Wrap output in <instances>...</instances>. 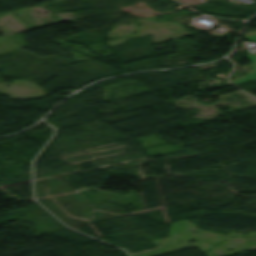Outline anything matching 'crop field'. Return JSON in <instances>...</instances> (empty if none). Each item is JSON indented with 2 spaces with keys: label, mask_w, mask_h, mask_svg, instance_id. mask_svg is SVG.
<instances>
[{
  "label": "crop field",
  "mask_w": 256,
  "mask_h": 256,
  "mask_svg": "<svg viewBox=\"0 0 256 256\" xmlns=\"http://www.w3.org/2000/svg\"><path fill=\"white\" fill-rule=\"evenodd\" d=\"M246 57L253 62L251 64L253 70L248 71L247 72L248 76H246V77H242V78L232 80V82L234 84L244 82V81H248V80H252V79H256V53L248 54V55H246Z\"/></svg>",
  "instance_id": "8a807250"
},
{
  "label": "crop field",
  "mask_w": 256,
  "mask_h": 256,
  "mask_svg": "<svg viewBox=\"0 0 256 256\" xmlns=\"http://www.w3.org/2000/svg\"><path fill=\"white\" fill-rule=\"evenodd\" d=\"M244 39L247 41L256 42V32L246 35Z\"/></svg>",
  "instance_id": "ac0d7876"
}]
</instances>
